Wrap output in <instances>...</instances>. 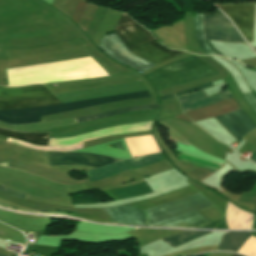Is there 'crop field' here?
Instances as JSON below:
<instances>
[{"label":"crop field","mask_w":256,"mask_h":256,"mask_svg":"<svg viewBox=\"0 0 256 256\" xmlns=\"http://www.w3.org/2000/svg\"><path fill=\"white\" fill-rule=\"evenodd\" d=\"M150 97L147 90L66 103H60L52 94H50L42 85H34L22 88H3L0 87V109H16L38 107L51 104L39 108L16 109V110H0V114L10 117L24 118H5L0 116V122L8 124H24L40 122V116L67 112L71 110H79L89 108L105 103L139 99ZM28 117V118H26Z\"/></svg>","instance_id":"obj_1"},{"label":"crop field","mask_w":256,"mask_h":256,"mask_svg":"<svg viewBox=\"0 0 256 256\" xmlns=\"http://www.w3.org/2000/svg\"><path fill=\"white\" fill-rule=\"evenodd\" d=\"M114 31L130 51L156 65L186 53L185 51H170L159 45L147 30L126 14L122 15Z\"/></svg>","instance_id":"obj_2"},{"label":"crop field","mask_w":256,"mask_h":256,"mask_svg":"<svg viewBox=\"0 0 256 256\" xmlns=\"http://www.w3.org/2000/svg\"><path fill=\"white\" fill-rule=\"evenodd\" d=\"M212 206L200 193L182 200L145 209L149 215V225L182 214Z\"/></svg>","instance_id":"obj_3"},{"label":"crop field","mask_w":256,"mask_h":256,"mask_svg":"<svg viewBox=\"0 0 256 256\" xmlns=\"http://www.w3.org/2000/svg\"><path fill=\"white\" fill-rule=\"evenodd\" d=\"M99 48L114 60L134 68L141 73L155 65L133 55L123 44L115 32L104 36ZM100 49V50H101Z\"/></svg>","instance_id":"obj_4"},{"label":"crop field","mask_w":256,"mask_h":256,"mask_svg":"<svg viewBox=\"0 0 256 256\" xmlns=\"http://www.w3.org/2000/svg\"><path fill=\"white\" fill-rule=\"evenodd\" d=\"M203 30L205 39L245 42L224 15H203Z\"/></svg>","instance_id":"obj_5"},{"label":"crop field","mask_w":256,"mask_h":256,"mask_svg":"<svg viewBox=\"0 0 256 256\" xmlns=\"http://www.w3.org/2000/svg\"><path fill=\"white\" fill-rule=\"evenodd\" d=\"M230 17L244 38L252 40L254 3L215 4Z\"/></svg>","instance_id":"obj_6"},{"label":"crop field","mask_w":256,"mask_h":256,"mask_svg":"<svg viewBox=\"0 0 256 256\" xmlns=\"http://www.w3.org/2000/svg\"><path fill=\"white\" fill-rule=\"evenodd\" d=\"M208 86H211V83L205 84L184 92L176 93V96L185 95L189 92H193L195 90L202 89ZM229 97H232V94L229 92V90L218 93L210 97H208L205 94V92L201 90L189 95L180 96L178 97V99L180 100V104L183 112H186V111L202 108L204 106H207L209 104L215 103L217 101H220Z\"/></svg>","instance_id":"obj_7"},{"label":"crop field","mask_w":256,"mask_h":256,"mask_svg":"<svg viewBox=\"0 0 256 256\" xmlns=\"http://www.w3.org/2000/svg\"><path fill=\"white\" fill-rule=\"evenodd\" d=\"M113 161L104 156L78 153H50V166L83 165L100 167Z\"/></svg>","instance_id":"obj_8"},{"label":"crop field","mask_w":256,"mask_h":256,"mask_svg":"<svg viewBox=\"0 0 256 256\" xmlns=\"http://www.w3.org/2000/svg\"><path fill=\"white\" fill-rule=\"evenodd\" d=\"M102 210L114 224L137 226L147 225L146 212L135 209L127 204L111 208H103Z\"/></svg>","instance_id":"obj_9"},{"label":"crop field","mask_w":256,"mask_h":256,"mask_svg":"<svg viewBox=\"0 0 256 256\" xmlns=\"http://www.w3.org/2000/svg\"><path fill=\"white\" fill-rule=\"evenodd\" d=\"M222 125L237 139L256 128L242 109L217 116Z\"/></svg>","instance_id":"obj_10"},{"label":"crop field","mask_w":256,"mask_h":256,"mask_svg":"<svg viewBox=\"0 0 256 256\" xmlns=\"http://www.w3.org/2000/svg\"><path fill=\"white\" fill-rule=\"evenodd\" d=\"M208 223V219L203 217L198 211L183 215L170 220L152 224V227H184V228H200Z\"/></svg>","instance_id":"obj_11"},{"label":"crop field","mask_w":256,"mask_h":256,"mask_svg":"<svg viewBox=\"0 0 256 256\" xmlns=\"http://www.w3.org/2000/svg\"><path fill=\"white\" fill-rule=\"evenodd\" d=\"M251 233L248 232H228L223 235L220 245L216 248L217 250L238 251L244 242L250 237Z\"/></svg>","instance_id":"obj_12"},{"label":"crop field","mask_w":256,"mask_h":256,"mask_svg":"<svg viewBox=\"0 0 256 256\" xmlns=\"http://www.w3.org/2000/svg\"><path fill=\"white\" fill-rule=\"evenodd\" d=\"M0 134L37 146H47L48 134L16 133L0 129Z\"/></svg>","instance_id":"obj_13"},{"label":"crop field","mask_w":256,"mask_h":256,"mask_svg":"<svg viewBox=\"0 0 256 256\" xmlns=\"http://www.w3.org/2000/svg\"><path fill=\"white\" fill-rule=\"evenodd\" d=\"M210 232L211 231H188V232L177 233L166 238H162V240L169 243L173 248H175L187 241L198 238Z\"/></svg>","instance_id":"obj_14"},{"label":"crop field","mask_w":256,"mask_h":256,"mask_svg":"<svg viewBox=\"0 0 256 256\" xmlns=\"http://www.w3.org/2000/svg\"><path fill=\"white\" fill-rule=\"evenodd\" d=\"M158 108H159L158 105L133 106V107L124 108V109H120V110H116V111L98 114L96 116L79 118V119H74V120L76 123H81V122H86V121H90V120H94V119L105 118V117H110V116H114V115H118V114H122V113L136 111V110H148V109H158Z\"/></svg>","instance_id":"obj_15"},{"label":"crop field","mask_w":256,"mask_h":256,"mask_svg":"<svg viewBox=\"0 0 256 256\" xmlns=\"http://www.w3.org/2000/svg\"><path fill=\"white\" fill-rule=\"evenodd\" d=\"M195 38L204 52L208 55L215 54L204 41L203 30H202V15L195 14Z\"/></svg>","instance_id":"obj_16"},{"label":"crop field","mask_w":256,"mask_h":256,"mask_svg":"<svg viewBox=\"0 0 256 256\" xmlns=\"http://www.w3.org/2000/svg\"><path fill=\"white\" fill-rule=\"evenodd\" d=\"M0 191L8 193V194L16 196V197H19V198H23V199L26 198V195H24V194H22L20 192H17V191H15L13 189L6 188L4 186H0Z\"/></svg>","instance_id":"obj_17"},{"label":"crop field","mask_w":256,"mask_h":256,"mask_svg":"<svg viewBox=\"0 0 256 256\" xmlns=\"http://www.w3.org/2000/svg\"><path fill=\"white\" fill-rule=\"evenodd\" d=\"M243 96L246 98L250 106L256 111V98L253 96V94L249 93Z\"/></svg>","instance_id":"obj_18"},{"label":"crop field","mask_w":256,"mask_h":256,"mask_svg":"<svg viewBox=\"0 0 256 256\" xmlns=\"http://www.w3.org/2000/svg\"><path fill=\"white\" fill-rule=\"evenodd\" d=\"M252 161L256 162V148L255 150L253 151L252 155L250 156V158Z\"/></svg>","instance_id":"obj_19"},{"label":"crop field","mask_w":256,"mask_h":256,"mask_svg":"<svg viewBox=\"0 0 256 256\" xmlns=\"http://www.w3.org/2000/svg\"><path fill=\"white\" fill-rule=\"evenodd\" d=\"M170 97H174V94H172V95H168V96H164V97H161V100H163V99H167V98H170Z\"/></svg>","instance_id":"obj_20"},{"label":"crop field","mask_w":256,"mask_h":256,"mask_svg":"<svg viewBox=\"0 0 256 256\" xmlns=\"http://www.w3.org/2000/svg\"><path fill=\"white\" fill-rule=\"evenodd\" d=\"M234 256H240V255L235 254Z\"/></svg>","instance_id":"obj_21"},{"label":"crop field","mask_w":256,"mask_h":256,"mask_svg":"<svg viewBox=\"0 0 256 256\" xmlns=\"http://www.w3.org/2000/svg\"><path fill=\"white\" fill-rule=\"evenodd\" d=\"M0 256H5V255L0 254Z\"/></svg>","instance_id":"obj_22"},{"label":"crop field","mask_w":256,"mask_h":256,"mask_svg":"<svg viewBox=\"0 0 256 256\" xmlns=\"http://www.w3.org/2000/svg\"><path fill=\"white\" fill-rule=\"evenodd\" d=\"M188 144V143H187Z\"/></svg>","instance_id":"obj_23"}]
</instances>
